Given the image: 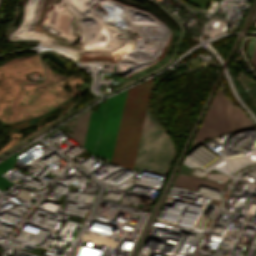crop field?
I'll return each mask as SVG.
<instances>
[{
	"label": "crop field",
	"instance_id": "1",
	"mask_svg": "<svg viewBox=\"0 0 256 256\" xmlns=\"http://www.w3.org/2000/svg\"><path fill=\"white\" fill-rule=\"evenodd\" d=\"M152 80L128 89L127 94L125 90L107 98L105 104L99 103L98 111L91 112L83 148L110 163L126 94L111 163L130 168ZM173 157V144L151 116L147 103L131 168L161 169L166 173Z\"/></svg>",
	"mask_w": 256,
	"mask_h": 256
},
{
	"label": "crop field",
	"instance_id": "2",
	"mask_svg": "<svg viewBox=\"0 0 256 256\" xmlns=\"http://www.w3.org/2000/svg\"><path fill=\"white\" fill-rule=\"evenodd\" d=\"M243 129L256 128L243 112L226 99L222 89L218 88L189 151L217 135Z\"/></svg>",
	"mask_w": 256,
	"mask_h": 256
},
{
	"label": "crop field",
	"instance_id": "3",
	"mask_svg": "<svg viewBox=\"0 0 256 256\" xmlns=\"http://www.w3.org/2000/svg\"><path fill=\"white\" fill-rule=\"evenodd\" d=\"M173 185L184 187L194 191L197 190L199 185L216 188L220 190H223L226 186L224 184L203 180V179H199V178H195V177H191L183 174L178 175Z\"/></svg>",
	"mask_w": 256,
	"mask_h": 256
},
{
	"label": "crop field",
	"instance_id": "4",
	"mask_svg": "<svg viewBox=\"0 0 256 256\" xmlns=\"http://www.w3.org/2000/svg\"><path fill=\"white\" fill-rule=\"evenodd\" d=\"M16 154L17 153L13 154L12 156L8 157L4 162L0 163V174L11 169L14 164ZM10 185H12V183H10L8 180L0 175V189L3 190Z\"/></svg>",
	"mask_w": 256,
	"mask_h": 256
},
{
	"label": "crop field",
	"instance_id": "5",
	"mask_svg": "<svg viewBox=\"0 0 256 256\" xmlns=\"http://www.w3.org/2000/svg\"><path fill=\"white\" fill-rule=\"evenodd\" d=\"M255 44H256V39L252 38L250 41V44L248 46V50H247V54H248L250 60L252 59V53H253Z\"/></svg>",
	"mask_w": 256,
	"mask_h": 256
}]
</instances>
